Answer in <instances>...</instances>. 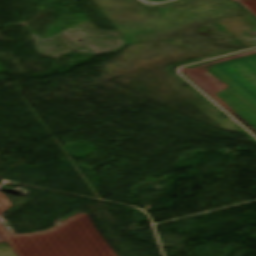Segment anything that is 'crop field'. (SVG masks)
Returning a JSON list of instances; mask_svg holds the SVG:
<instances>
[{
  "label": "crop field",
  "instance_id": "4",
  "mask_svg": "<svg viewBox=\"0 0 256 256\" xmlns=\"http://www.w3.org/2000/svg\"><path fill=\"white\" fill-rule=\"evenodd\" d=\"M224 26L239 40L248 46L256 45V20L242 18L228 20Z\"/></svg>",
  "mask_w": 256,
  "mask_h": 256
},
{
  "label": "crop field",
  "instance_id": "6",
  "mask_svg": "<svg viewBox=\"0 0 256 256\" xmlns=\"http://www.w3.org/2000/svg\"><path fill=\"white\" fill-rule=\"evenodd\" d=\"M244 3L254 1V0H242Z\"/></svg>",
  "mask_w": 256,
  "mask_h": 256
},
{
  "label": "crop field",
  "instance_id": "1",
  "mask_svg": "<svg viewBox=\"0 0 256 256\" xmlns=\"http://www.w3.org/2000/svg\"><path fill=\"white\" fill-rule=\"evenodd\" d=\"M208 69L256 107V55Z\"/></svg>",
  "mask_w": 256,
  "mask_h": 256
},
{
  "label": "crop field",
  "instance_id": "3",
  "mask_svg": "<svg viewBox=\"0 0 256 256\" xmlns=\"http://www.w3.org/2000/svg\"><path fill=\"white\" fill-rule=\"evenodd\" d=\"M256 128V108L231 87L215 94Z\"/></svg>",
  "mask_w": 256,
  "mask_h": 256
},
{
  "label": "crop field",
  "instance_id": "5",
  "mask_svg": "<svg viewBox=\"0 0 256 256\" xmlns=\"http://www.w3.org/2000/svg\"><path fill=\"white\" fill-rule=\"evenodd\" d=\"M253 54H256V50H255V51L248 52V53L236 55V56H233V57L221 59V60H219L218 62L211 63V64L204 65V66H200V67L203 68V67H207V66L214 65V64H217V63H221V62H225V61H229V60H233V59H237V58H241V57H245V56H249V55H253Z\"/></svg>",
  "mask_w": 256,
  "mask_h": 256
},
{
  "label": "crop field",
  "instance_id": "2",
  "mask_svg": "<svg viewBox=\"0 0 256 256\" xmlns=\"http://www.w3.org/2000/svg\"><path fill=\"white\" fill-rule=\"evenodd\" d=\"M181 72L185 73L198 87L215 100L219 99L214 95L215 93L229 87V85L207 68L200 69L196 67L194 69H182Z\"/></svg>",
  "mask_w": 256,
  "mask_h": 256
},
{
  "label": "crop field",
  "instance_id": "7",
  "mask_svg": "<svg viewBox=\"0 0 256 256\" xmlns=\"http://www.w3.org/2000/svg\"><path fill=\"white\" fill-rule=\"evenodd\" d=\"M256 135V131L253 132Z\"/></svg>",
  "mask_w": 256,
  "mask_h": 256
}]
</instances>
